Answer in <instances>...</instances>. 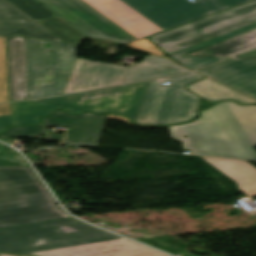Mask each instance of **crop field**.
Wrapping results in <instances>:
<instances>
[{
    "mask_svg": "<svg viewBox=\"0 0 256 256\" xmlns=\"http://www.w3.org/2000/svg\"><path fill=\"white\" fill-rule=\"evenodd\" d=\"M0 252L33 256H168L74 218L0 229Z\"/></svg>",
    "mask_w": 256,
    "mask_h": 256,
    "instance_id": "8a807250",
    "label": "crop field"
},
{
    "mask_svg": "<svg viewBox=\"0 0 256 256\" xmlns=\"http://www.w3.org/2000/svg\"><path fill=\"white\" fill-rule=\"evenodd\" d=\"M189 123L169 126L192 154L256 160V106L219 102Z\"/></svg>",
    "mask_w": 256,
    "mask_h": 256,
    "instance_id": "ac0d7876",
    "label": "crop field"
},
{
    "mask_svg": "<svg viewBox=\"0 0 256 256\" xmlns=\"http://www.w3.org/2000/svg\"><path fill=\"white\" fill-rule=\"evenodd\" d=\"M30 167L0 166V228L69 218Z\"/></svg>",
    "mask_w": 256,
    "mask_h": 256,
    "instance_id": "34b2d1b8",
    "label": "crop field"
},
{
    "mask_svg": "<svg viewBox=\"0 0 256 256\" xmlns=\"http://www.w3.org/2000/svg\"><path fill=\"white\" fill-rule=\"evenodd\" d=\"M149 82L65 97L11 103L15 123H39L38 116L48 115L53 108H62L74 113L82 110L110 112L122 114L135 121Z\"/></svg>",
    "mask_w": 256,
    "mask_h": 256,
    "instance_id": "412701ff",
    "label": "crop field"
},
{
    "mask_svg": "<svg viewBox=\"0 0 256 256\" xmlns=\"http://www.w3.org/2000/svg\"><path fill=\"white\" fill-rule=\"evenodd\" d=\"M76 46L26 38L28 99L63 93L77 59Z\"/></svg>",
    "mask_w": 256,
    "mask_h": 256,
    "instance_id": "f4fd0767",
    "label": "crop field"
},
{
    "mask_svg": "<svg viewBox=\"0 0 256 256\" xmlns=\"http://www.w3.org/2000/svg\"><path fill=\"white\" fill-rule=\"evenodd\" d=\"M202 78L192 72L162 79L171 83L167 85H162L159 79L151 81L136 123L169 124L193 118L200 97L186 91L185 85Z\"/></svg>",
    "mask_w": 256,
    "mask_h": 256,
    "instance_id": "dd49c442",
    "label": "crop field"
},
{
    "mask_svg": "<svg viewBox=\"0 0 256 256\" xmlns=\"http://www.w3.org/2000/svg\"><path fill=\"white\" fill-rule=\"evenodd\" d=\"M256 22V1L188 23L149 39L170 54Z\"/></svg>",
    "mask_w": 256,
    "mask_h": 256,
    "instance_id": "e52e79f7",
    "label": "crop field"
},
{
    "mask_svg": "<svg viewBox=\"0 0 256 256\" xmlns=\"http://www.w3.org/2000/svg\"><path fill=\"white\" fill-rule=\"evenodd\" d=\"M162 29L192 21L250 0H122Z\"/></svg>",
    "mask_w": 256,
    "mask_h": 256,
    "instance_id": "d8731c3e",
    "label": "crop field"
},
{
    "mask_svg": "<svg viewBox=\"0 0 256 256\" xmlns=\"http://www.w3.org/2000/svg\"><path fill=\"white\" fill-rule=\"evenodd\" d=\"M87 37L106 38L122 44L136 41L82 0H37Z\"/></svg>",
    "mask_w": 256,
    "mask_h": 256,
    "instance_id": "5a996713",
    "label": "crop field"
},
{
    "mask_svg": "<svg viewBox=\"0 0 256 256\" xmlns=\"http://www.w3.org/2000/svg\"><path fill=\"white\" fill-rule=\"evenodd\" d=\"M127 69L78 58L64 94L121 84Z\"/></svg>",
    "mask_w": 256,
    "mask_h": 256,
    "instance_id": "3316defc",
    "label": "crop field"
},
{
    "mask_svg": "<svg viewBox=\"0 0 256 256\" xmlns=\"http://www.w3.org/2000/svg\"><path fill=\"white\" fill-rule=\"evenodd\" d=\"M107 115L90 113L70 115L56 111L49 118H43L45 125L69 127L65 144L97 146Z\"/></svg>",
    "mask_w": 256,
    "mask_h": 256,
    "instance_id": "28ad6ade",
    "label": "crop field"
},
{
    "mask_svg": "<svg viewBox=\"0 0 256 256\" xmlns=\"http://www.w3.org/2000/svg\"><path fill=\"white\" fill-rule=\"evenodd\" d=\"M135 38L163 31L121 0H83Z\"/></svg>",
    "mask_w": 256,
    "mask_h": 256,
    "instance_id": "d1516ede",
    "label": "crop field"
},
{
    "mask_svg": "<svg viewBox=\"0 0 256 256\" xmlns=\"http://www.w3.org/2000/svg\"><path fill=\"white\" fill-rule=\"evenodd\" d=\"M199 72L256 99V60L231 59Z\"/></svg>",
    "mask_w": 256,
    "mask_h": 256,
    "instance_id": "22f410ed",
    "label": "crop field"
},
{
    "mask_svg": "<svg viewBox=\"0 0 256 256\" xmlns=\"http://www.w3.org/2000/svg\"><path fill=\"white\" fill-rule=\"evenodd\" d=\"M0 36H25L29 38L64 42L5 0H0Z\"/></svg>",
    "mask_w": 256,
    "mask_h": 256,
    "instance_id": "cbeb9de0",
    "label": "crop field"
},
{
    "mask_svg": "<svg viewBox=\"0 0 256 256\" xmlns=\"http://www.w3.org/2000/svg\"><path fill=\"white\" fill-rule=\"evenodd\" d=\"M7 46L10 99H27L25 38H9Z\"/></svg>",
    "mask_w": 256,
    "mask_h": 256,
    "instance_id": "5142ce71",
    "label": "crop field"
},
{
    "mask_svg": "<svg viewBox=\"0 0 256 256\" xmlns=\"http://www.w3.org/2000/svg\"><path fill=\"white\" fill-rule=\"evenodd\" d=\"M207 163L231 178L244 194L256 191V168L246 161L203 158Z\"/></svg>",
    "mask_w": 256,
    "mask_h": 256,
    "instance_id": "d9b57169",
    "label": "crop field"
},
{
    "mask_svg": "<svg viewBox=\"0 0 256 256\" xmlns=\"http://www.w3.org/2000/svg\"><path fill=\"white\" fill-rule=\"evenodd\" d=\"M185 72H188V70L183 69L164 58L147 55L143 62L130 67L125 84Z\"/></svg>",
    "mask_w": 256,
    "mask_h": 256,
    "instance_id": "733c2abd",
    "label": "crop field"
},
{
    "mask_svg": "<svg viewBox=\"0 0 256 256\" xmlns=\"http://www.w3.org/2000/svg\"><path fill=\"white\" fill-rule=\"evenodd\" d=\"M256 29V23L244 28H241L239 30L230 32L228 34L222 35L220 37L214 38L212 40L206 41L204 43L198 44L196 46H193L191 48L185 49L183 51L177 52V53H173L170 54L168 56H170L171 58H173L174 60H176L177 62H179L180 64L195 70V69H199L208 65H211L213 63L219 62L221 60L227 59V58H215V57H192V56H184L188 53H191L193 51H196L198 49L204 48L206 46L218 43L220 41L235 37L237 35L249 32L251 30Z\"/></svg>",
    "mask_w": 256,
    "mask_h": 256,
    "instance_id": "4a817a6b",
    "label": "crop field"
},
{
    "mask_svg": "<svg viewBox=\"0 0 256 256\" xmlns=\"http://www.w3.org/2000/svg\"><path fill=\"white\" fill-rule=\"evenodd\" d=\"M256 30L237 36L235 38L223 41L221 43L198 50L188 55L192 56H215V57H232L237 54L256 48Z\"/></svg>",
    "mask_w": 256,
    "mask_h": 256,
    "instance_id": "bc2a9ffb",
    "label": "crop field"
},
{
    "mask_svg": "<svg viewBox=\"0 0 256 256\" xmlns=\"http://www.w3.org/2000/svg\"><path fill=\"white\" fill-rule=\"evenodd\" d=\"M188 88L190 91L212 102L220 99H235L240 103L256 102L210 79L191 84Z\"/></svg>",
    "mask_w": 256,
    "mask_h": 256,
    "instance_id": "214f88e0",
    "label": "crop field"
},
{
    "mask_svg": "<svg viewBox=\"0 0 256 256\" xmlns=\"http://www.w3.org/2000/svg\"><path fill=\"white\" fill-rule=\"evenodd\" d=\"M38 24L47 28L67 43L78 44L80 41L86 38L84 35H82L80 32H78L59 17L39 22Z\"/></svg>",
    "mask_w": 256,
    "mask_h": 256,
    "instance_id": "92a150f3",
    "label": "crop field"
},
{
    "mask_svg": "<svg viewBox=\"0 0 256 256\" xmlns=\"http://www.w3.org/2000/svg\"><path fill=\"white\" fill-rule=\"evenodd\" d=\"M36 22L55 16L35 0H6Z\"/></svg>",
    "mask_w": 256,
    "mask_h": 256,
    "instance_id": "dafd665d",
    "label": "crop field"
},
{
    "mask_svg": "<svg viewBox=\"0 0 256 256\" xmlns=\"http://www.w3.org/2000/svg\"><path fill=\"white\" fill-rule=\"evenodd\" d=\"M46 128L42 125L39 126H15L10 127L6 132H4L0 139L9 137H27V136H37L39 134H45Z\"/></svg>",
    "mask_w": 256,
    "mask_h": 256,
    "instance_id": "00972430",
    "label": "crop field"
},
{
    "mask_svg": "<svg viewBox=\"0 0 256 256\" xmlns=\"http://www.w3.org/2000/svg\"><path fill=\"white\" fill-rule=\"evenodd\" d=\"M9 101L6 78L5 38L0 37V102Z\"/></svg>",
    "mask_w": 256,
    "mask_h": 256,
    "instance_id": "a9b5d70f",
    "label": "crop field"
},
{
    "mask_svg": "<svg viewBox=\"0 0 256 256\" xmlns=\"http://www.w3.org/2000/svg\"><path fill=\"white\" fill-rule=\"evenodd\" d=\"M0 165L4 166H28L21 155L12 148L0 144Z\"/></svg>",
    "mask_w": 256,
    "mask_h": 256,
    "instance_id": "4177f3b9",
    "label": "crop field"
},
{
    "mask_svg": "<svg viewBox=\"0 0 256 256\" xmlns=\"http://www.w3.org/2000/svg\"><path fill=\"white\" fill-rule=\"evenodd\" d=\"M125 45H127L129 47H134L140 51H144L149 54L163 56L161 53H159L157 51L158 48L156 46H154L147 38L139 39L136 42H132V43L125 44Z\"/></svg>",
    "mask_w": 256,
    "mask_h": 256,
    "instance_id": "730fd06b",
    "label": "crop field"
},
{
    "mask_svg": "<svg viewBox=\"0 0 256 256\" xmlns=\"http://www.w3.org/2000/svg\"><path fill=\"white\" fill-rule=\"evenodd\" d=\"M13 121L11 115L0 116V132L9 125H12Z\"/></svg>",
    "mask_w": 256,
    "mask_h": 256,
    "instance_id": "eef30255",
    "label": "crop field"
},
{
    "mask_svg": "<svg viewBox=\"0 0 256 256\" xmlns=\"http://www.w3.org/2000/svg\"><path fill=\"white\" fill-rule=\"evenodd\" d=\"M7 114H12L10 103L0 105V115Z\"/></svg>",
    "mask_w": 256,
    "mask_h": 256,
    "instance_id": "ae1a2a85",
    "label": "crop field"
},
{
    "mask_svg": "<svg viewBox=\"0 0 256 256\" xmlns=\"http://www.w3.org/2000/svg\"><path fill=\"white\" fill-rule=\"evenodd\" d=\"M107 118L120 119V120L124 121L125 123H128V124H130V125H133V124H131V123L128 121V119H126V118H124V117H122V116L115 117V116H112V115H108V117H107ZM133 126H135V125H133ZM137 127L167 128V126H165V127H156V126H137Z\"/></svg>",
    "mask_w": 256,
    "mask_h": 256,
    "instance_id": "d3111659",
    "label": "crop field"
},
{
    "mask_svg": "<svg viewBox=\"0 0 256 256\" xmlns=\"http://www.w3.org/2000/svg\"><path fill=\"white\" fill-rule=\"evenodd\" d=\"M63 137H64V135L48 134V135H46L45 137H43V139L62 141V140H63Z\"/></svg>",
    "mask_w": 256,
    "mask_h": 256,
    "instance_id": "750c4746",
    "label": "crop field"
},
{
    "mask_svg": "<svg viewBox=\"0 0 256 256\" xmlns=\"http://www.w3.org/2000/svg\"><path fill=\"white\" fill-rule=\"evenodd\" d=\"M240 57H254V58H256V51H253V52H251V53L242 55V56H240Z\"/></svg>",
    "mask_w": 256,
    "mask_h": 256,
    "instance_id": "bd1437ed",
    "label": "crop field"
},
{
    "mask_svg": "<svg viewBox=\"0 0 256 256\" xmlns=\"http://www.w3.org/2000/svg\"><path fill=\"white\" fill-rule=\"evenodd\" d=\"M0 256H21V255H11V254H1L0 253Z\"/></svg>",
    "mask_w": 256,
    "mask_h": 256,
    "instance_id": "1d83c4d3",
    "label": "crop field"
},
{
    "mask_svg": "<svg viewBox=\"0 0 256 256\" xmlns=\"http://www.w3.org/2000/svg\"><path fill=\"white\" fill-rule=\"evenodd\" d=\"M247 196H252V197H254V196H256V192H254V193H250V194H246Z\"/></svg>",
    "mask_w": 256,
    "mask_h": 256,
    "instance_id": "120bbe31",
    "label": "crop field"
}]
</instances>
